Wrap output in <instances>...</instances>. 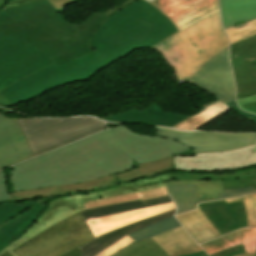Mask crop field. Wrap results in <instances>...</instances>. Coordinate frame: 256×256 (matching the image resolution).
<instances>
[{
    "instance_id": "obj_1",
    "label": "crop field",
    "mask_w": 256,
    "mask_h": 256,
    "mask_svg": "<svg viewBox=\"0 0 256 256\" xmlns=\"http://www.w3.org/2000/svg\"><path fill=\"white\" fill-rule=\"evenodd\" d=\"M187 149L119 125L12 166L10 183L15 191L79 183L129 169L133 158L143 163Z\"/></svg>"
},
{
    "instance_id": "obj_2",
    "label": "crop field",
    "mask_w": 256,
    "mask_h": 256,
    "mask_svg": "<svg viewBox=\"0 0 256 256\" xmlns=\"http://www.w3.org/2000/svg\"><path fill=\"white\" fill-rule=\"evenodd\" d=\"M107 18L95 12L76 25L40 0L2 10L0 32L37 47L60 65L93 51L85 43Z\"/></svg>"
},
{
    "instance_id": "obj_3",
    "label": "crop field",
    "mask_w": 256,
    "mask_h": 256,
    "mask_svg": "<svg viewBox=\"0 0 256 256\" xmlns=\"http://www.w3.org/2000/svg\"><path fill=\"white\" fill-rule=\"evenodd\" d=\"M176 32L167 17L138 0L101 24L89 42L102 55L121 57L136 48H149Z\"/></svg>"
},
{
    "instance_id": "obj_4",
    "label": "crop field",
    "mask_w": 256,
    "mask_h": 256,
    "mask_svg": "<svg viewBox=\"0 0 256 256\" xmlns=\"http://www.w3.org/2000/svg\"><path fill=\"white\" fill-rule=\"evenodd\" d=\"M228 46L219 10L151 47L163 55L177 80L187 81L216 53ZM179 83V81H178Z\"/></svg>"
},
{
    "instance_id": "obj_5",
    "label": "crop field",
    "mask_w": 256,
    "mask_h": 256,
    "mask_svg": "<svg viewBox=\"0 0 256 256\" xmlns=\"http://www.w3.org/2000/svg\"><path fill=\"white\" fill-rule=\"evenodd\" d=\"M166 173L148 177L134 182L120 183L110 189L64 196L48 202L49 207L23 234L32 238L49 226L79 212L83 209L97 208L132 200H148L169 195L165 183ZM59 211V213H58Z\"/></svg>"
},
{
    "instance_id": "obj_6",
    "label": "crop field",
    "mask_w": 256,
    "mask_h": 256,
    "mask_svg": "<svg viewBox=\"0 0 256 256\" xmlns=\"http://www.w3.org/2000/svg\"><path fill=\"white\" fill-rule=\"evenodd\" d=\"M116 59L94 51L60 66L54 63L0 91V94L12 105L25 102L56 86L88 79Z\"/></svg>"
},
{
    "instance_id": "obj_7",
    "label": "crop field",
    "mask_w": 256,
    "mask_h": 256,
    "mask_svg": "<svg viewBox=\"0 0 256 256\" xmlns=\"http://www.w3.org/2000/svg\"><path fill=\"white\" fill-rule=\"evenodd\" d=\"M17 120L34 157L106 129L101 121L91 117Z\"/></svg>"
},
{
    "instance_id": "obj_8",
    "label": "crop field",
    "mask_w": 256,
    "mask_h": 256,
    "mask_svg": "<svg viewBox=\"0 0 256 256\" xmlns=\"http://www.w3.org/2000/svg\"><path fill=\"white\" fill-rule=\"evenodd\" d=\"M93 239L79 212L49 227L13 251L19 256H62Z\"/></svg>"
},
{
    "instance_id": "obj_9",
    "label": "crop field",
    "mask_w": 256,
    "mask_h": 256,
    "mask_svg": "<svg viewBox=\"0 0 256 256\" xmlns=\"http://www.w3.org/2000/svg\"><path fill=\"white\" fill-rule=\"evenodd\" d=\"M173 170L174 158L170 156L165 159L140 164L139 168L136 169H129L118 174L83 182L80 184L44 187L39 189L9 193V199L21 201L40 196H64L76 193L93 192L110 188L120 182L133 181L139 178L155 176L157 174Z\"/></svg>"
},
{
    "instance_id": "obj_10",
    "label": "crop field",
    "mask_w": 256,
    "mask_h": 256,
    "mask_svg": "<svg viewBox=\"0 0 256 256\" xmlns=\"http://www.w3.org/2000/svg\"><path fill=\"white\" fill-rule=\"evenodd\" d=\"M53 62L37 48L0 33V90Z\"/></svg>"
},
{
    "instance_id": "obj_11",
    "label": "crop field",
    "mask_w": 256,
    "mask_h": 256,
    "mask_svg": "<svg viewBox=\"0 0 256 256\" xmlns=\"http://www.w3.org/2000/svg\"><path fill=\"white\" fill-rule=\"evenodd\" d=\"M156 135L182 142L195 153L230 151L254 144L256 141V134L253 133L180 132L157 128Z\"/></svg>"
},
{
    "instance_id": "obj_12",
    "label": "crop field",
    "mask_w": 256,
    "mask_h": 256,
    "mask_svg": "<svg viewBox=\"0 0 256 256\" xmlns=\"http://www.w3.org/2000/svg\"><path fill=\"white\" fill-rule=\"evenodd\" d=\"M187 82L206 91L222 103L234 100L235 84L228 61V48L213 56Z\"/></svg>"
},
{
    "instance_id": "obj_13",
    "label": "crop field",
    "mask_w": 256,
    "mask_h": 256,
    "mask_svg": "<svg viewBox=\"0 0 256 256\" xmlns=\"http://www.w3.org/2000/svg\"><path fill=\"white\" fill-rule=\"evenodd\" d=\"M254 145L224 153H204L195 156H175V170H230L256 165V153L252 154Z\"/></svg>"
},
{
    "instance_id": "obj_14",
    "label": "crop field",
    "mask_w": 256,
    "mask_h": 256,
    "mask_svg": "<svg viewBox=\"0 0 256 256\" xmlns=\"http://www.w3.org/2000/svg\"><path fill=\"white\" fill-rule=\"evenodd\" d=\"M48 200L0 205V251L32 225L47 208L42 204Z\"/></svg>"
},
{
    "instance_id": "obj_15",
    "label": "crop field",
    "mask_w": 256,
    "mask_h": 256,
    "mask_svg": "<svg viewBox=\"0 0 256 256\" xmlns=\"http://www.w3.org/2000/svg\"><path fill=\"white\" fill-rule=\"evenodd\" d=\"M179 30L219 9L218 0H146Z\"/></svg>"
},
{
    "instance_id": "obj_16",
    "label": "crop field",
    "mask_w": 256,
    "mask_h": 256,
    "mask_svg": "<svg viewBox=\"0 0 256 256\" xmlns=\"http://www.w3.org/2000/svg\"><path fill=\"white\" fill-rule=\"evenodd\" d=\"M256 36L231 45L230 60L237 84V98L256 94Z\"/></svg>"
},
{
    "instance_id": "obj_17",
    "label": "crop field",
    "mask_w": 256,
    "mask_h": 256,
    "mask_svg": "<svg viewBox=\"0 0 256 256\" xmlns=\"http://www.w3.org/2000/svg\"><path fill=\"white\" fill-rule=\"evenodd\" d=\"M33 158L16 119L0 114V169Z\"/></svg>"
},
{
    "instance_id": "obj_18",
    "label": "crop field",
    "mask_w": 256,
    "mask_h": 256,
    "mask_svg": "<svg viewBox=\"0 0 256 256\" xmlns=\"http://www.w3.org/2000/svg\"><path fill=\"white\" fill-rule=\"evenodd\" d=\"M221 236L246 227L243 202L226 204L224 200L198 204Z\"/></svg>"
},
{
    "instance_id": "obj_19",
    "label": "crop field",
    "mask_w": 256,
    "mask_h": 256,
    "mask_svg": "<svg viewBox=\"0 0 256 256\" xmlns=\"http://www.w3.org/2000/svg\"><path fill=\"white\" fill-rule=\"evenodd\" d=\"M173 203H167L160 206L138 209L126 213L108 216L100 219L87 221V225L94 234L95 238L110 232L119 227L135 223L145 218L157 215L159 213L175 209Z\"/></svg>"
},
{
    "instance_id": "obj_20",
    "label": "crop field",
    "mask_w": 256,
    "mask_h": 256,
    "mask_svg": "<svg viewBox=\"0 0 256 256\" xmlns=\"http://www.w3.org/2000/svg\"><path fill=\"white\" fill-rule=\"evenodd\" d=\"M161 109L155 103L142 111L135 107L125 113L103 117L100 119L111 122H131L154 126L172 127L189 117L186 115L163 112L164 110L162 109V111Z\"/></svg>"
},
{
    "instance_id": "obj_21",
    "label": "crop field",
    "mask_w": 256,
    "mask_h": 256,
    "mask_svg": "<svg viewBox=\"0 0 256 256\" xmlns=\"http://www.w3.org/2000/svg\"><path fill=\"white\" fill-rule=\"evenodd\" d=\"M167 187L178 208L176 214L194 210L197 208V203L200 202L240 197L242 195L256 192V190H253L252 187L227 190L224 191V194H219V199L199 201L196 185H173Z\"/></svg>"
},
{
    "instance_id": "obj_22",
    "label": "crop field",
    "mask_w": 256,
    "mask_h": 256,
    "mask_svg": "<svg viewBox=\"0 0 256 256\" xmlns=\"http://www.w3.org/2000/svg\"><path fill=\"white\" fill-rule=\"evenodd\" d=\"M175 210H171V211L159 214L157 216L145 219V220L137 222L135 224L128 225V226L119 228L115 231H112L110 233H107V234L79 247L80 250L82 251V256H94L97 253L104 250L105 248L112 245L113 243L117 242L121 238L125 237L127 234H130L137 229L143 228L147 225H150L152 223H155L157 221H160L162 219H165L167 217L174 215Z\"/></svg>"
},
{
    "instance_id": "obj_23",
    "label": "crop field",
    "mask_w": 256,
    "mask_h": 256,
    "mask_svg": "<svg viewBox=\"0 0 256 256\" xmlns=\"http://www.w3.org/2000/svg\"><path fill=\"white\" fill-rule=\"evenodd\" d=\"M229 109L249 119L256 125V116L241 111L237 107L234 100L224 104H221L219 101H217L212 105L200 110L199 112L194 114L192 117L187 118L186 120H184L183 122L179 123L178 125L172 128L181 129V130H197L198 127L202 126L203 124L214 119L215 117L219 116L220 114L224 113Z\"/></svg>"
},
{
    "instance_id": "obj_24",
    "label": "crop field",
    "mask_w": 256,
    "mask_h": 256,
    "mask_svg": "<svg viewBox=\"0 0 256 256\" xmlns=\"http://www.w3.org/2000/svg\"><path fill=\"white\" fill-rule=\"evenodd\" d=\"M153 240L163 248L169 256H179L202 251L182 226L155 237Z\"/></svg>"
},
{
    "instance_id": "obj_25",
    "label": "crop field",
    "mask_w": 256,
    "mask_h": 256,
    "mask_svg": "<svg viewBox=\"0 0 256 256\" xmlns=\"http://www.w3.org/2000/svg\"><path fill=\"white\" fill-rule=\"evenodd\" d=\"M224 29L256 18V0H219Z\"/></svg>"
},
{
    "instance_id": "obj_26",
    "label": "crop field",
    "mask_w": 256,
    "mask_h": 256,
    "mask_svg": "<svg viewBox=\"0 0 256 256\" xmlns=\"http://www.w3.org/2000/svg\"><path fill=\"white\" fill-rule=\"evenodd\" d=\"M175 217L185 226L199 244L220 237L219 233L199 208L195 211L177 215Z\"/></svg>"
},
{
    "instance_id": "obj_27",
    "label": "crop field",
    "mask_w": 256,
    "mask_h": 256,
    "mask_svg": "<svg viewBox=\"0 0 256 256\" xmlns=\"http://www.w3.org/2000/svg\"><path fill=\"white\" fill-rule=\"evenodd\" d=\"M167 202H172L170 199V196L143 201V202H140L139 200H137V201L127 202V203H122V204H117V205H112V206H107V207H102L97 209L84 210V211H81V213L85 221H87L95 218H100L108 215H113V214H117L125 211L138 209V208L160 205Z\"/></svg>"
},
{
    "instance_id": "obj_28",
    "label": "crop field",
    "mask_w": 256,
    "mask_h": 256,
    "mask_svg": "<svg viewBox=\"0 0 256 256\" xmlns=\"http://www.w3.org/2000/svg\"><path fill=\"white\" fill-rule=\"evenodd\" d=\"M111 256H168L150 237L131 243Z\"/></svg>"
},
{
    "instance_id": "obj_29",
    "label": "crop field",
    "mask_w": 256,
    "mask_h": 256,
    "mask_svg": "<svg viewBox=\"0 0 256 256\" xmlns=\"http://www.w3.org/2000/svg\"><path fill=\"white\" fill-rule=\"evenodd\" d=\"M169 180H228L236 178L255 177L256 169L246 170L237 173L222 174H190V173H173L167 174Z\"/></svg>"
},
{
    "instance_id": "obj_30",
    "label": "crop field",
    "mask_w": 256,
    "mask_h": 256,
    "mask_svg": "<svg viewBox=\"0 0 256 256\" xmlns=\"http://www.w3.org/2000/svg\"><path fill=\"white\" fill-rule=\"evenodd\" d=\"M180 226L178 221L174 218V216L167 218L165 220H162L160 222H157L155 224H152L148 227H145L143 229L137 230L134 233L128 235L131 239L138 242L148 236L155 237L157 235H160L162 233L167 232L168 230H171L175 227Z\"/></svg>"
},
{
    "instance_id": "obj_31",
    "label": "crop field",
    "mask_w": 256,
    "mask_h": 256,
    "mask_svg": "<svg viewBox=\"0 0 256 256\" xmlns=\"http://www.w3.org/2000/svg\"><path fill=\"white\" fill-rule=\"evenodd\" d=\"M172 184H197L200 200L218 198V193H223L222 181H168L166 182V185H172Z\"/></svg>"
},
{
    "instance_id": "obj_32",
    "label": "crop field",
    "mask_w": 256,
    "mask_h": 256,
    "mask_svg": "<svg viewBox=\"0 0 256 256\" xmlns=\"http://www.w3.org/2000/svg\"><path fill=\"white\" fill-rule=\"evenodd\" d=\"M224 31L228 35L231 44L253 37L256 35V19L232 26Z\"/></svg>"
},
{
    "instance_id": "obj_33",
    "label": "crop field",
    "mask_w": 256,
    "mask_h": 256,
    "mask_svg": "<svg viewBox=\"0 0 256 256\" xmlns=\"http://www.w3.org/2000/svg\"><path fill=\"white\" fill-rule=\"evenodd\" d=\"M32 1H36V0H9L8 4L5 7L17 6V5L29 3ZM48 1L52 4V6L57 11H59V10L64 9L74 3H77L79 0H48ZM134 1H136V0H126L103 13L110 17L114 12L118 11L119 9L123 8L124 6L130 4ZM5 7H4V9H5Z\"/></svg>"
},
{
    "instance_id": "obj_34",
    "label": "crop field",
    "mask_w": 256,
    "mask_h": 256,
    "mask_svg": "<svg viewBox=\"0 0 256 256\" xmlns=\"http://www.w3.org/2000/svg\"><path fill=\"white\" fill-rule=\"evenodd\" d=\"M241 244L239 230L201 245L208 254ZM242 245V244H241Z\"/></svg>"
},
{
    "instance_id": "obj_35",
    "label": "crop field",
    "mask_w": 256,
    "mask_h": 256,
    "mask_svg": "<svg viewBox=\"0 0 256 256\" xmlns=\"http://www.w3.org/2000/svg\"><path fill=\"white\" fill-rule=\"evenodd\" d=\"M243 200L246 207L247 227L256 226V194L241 198L226 200L227 203Z\"/></svg>"
},
{
    "instance_id": "obj_36",
    "label": "crop field",
    "mask_w": 256,
    "mask_h": 256,
    "mask_svg": "<svg viewBox=\"0 0 256 256\" xmlns=\"http://www.w3.org/2000/svg\"><path fill=\"white\" fill-rule=\"evenodd\" d=\"M242 244L245 252L255 254L256 250V228L240 229Z\"/></svg>"
},
{
    "instance_id": "obj_37",
    "label": "crop field",
    "mask_w": 256,
    "mask_h": 256,
    "mask_svg": "<svg viewBox=\"0 0 256 256\" xmlns=\"http://www.w3.org/2000/svg\"><path fill=\"white\" fill-rule=\"evenodd\" d=\"M237 104L245 111L256 113V95L238 99Z\"/></svg>"
},
{
    "instance_id": "obj_38",
    "label": "crop field",
    "mask_w": 256,
    "mask_h": 256,
    "mask_svg": "<svg viewBox=\"0 0 256 256\" xmlns=\"http://www.w3.org/2000/svg\"><path fill=\"white\" fill-rule=\"evenodd\" d=\"M131 242H133V241L126 236L125 238H123L122 240L118 241L117 243H115L114 245L110 246L109 248H107L106 250L102 251L101 253H99L96 256H109V255L113 254L114 252L118 251L119 249L125 247L126 245H128Z\"/></svg>"
},
{
    "instance_id": "obj_39",
    "label": "crop field",
    "mask_w": 256,
    "mask_h": 256,
    "mask_svg": "<svg viewBox=\"0 0 256 256\" xmlns=\"http://www.w3.org/2000/svg\"><path fill=\"white\" fill-rule=\"evenodd\" d=\"M248 186H251L249 178L223 181V189L224 190L248 187Z\"/></svg>"
},
{
    "instance_id": "obj_40",
    "label": "crop field",
    "mask_w": 256,
    "mask_h": 256,
    "mask_svg": "<svg viewBox=\"0 0 256 256\" xmlns=\"http://www.w3.org/2000/svg\"><path fill=\"white\" fill-rule=\"evenodd\" d=\"M29 239H27L25 236L19 237L17 240H15L12 244H10L8 247H6L4 250L0 252V256H18L11 250L22 245L23 243L27 242Z\"/></svg>"
},
{
    "instance_id": "obj_41",
    "label": "crop field",
    "mask_w": 256,
    "mask_h": 256,
    "mask_svg": "<svg viewBox=\"0 0 256 256\" xmlns=\"http://www.w3.org/2000/svg\"><path fill=\"white\" fill-rule=\"evenodd\" d=\"M8 199V190L6 187V178L3 171H0V202H4Z\"/></svg>"
},
{
    "instance_id": "obj_42",
    "label": "crop field",
    "mask_w": 256,
    "mask_h": 256,
    "mask_svg": "<svg viewBox=\"0 0 256 256\" xmlns=\"http://www.w3.org/2000/svg\"><path fill=\"white\" fill-rule=\"evenodd\" d=\"M243 252H244V250L239 245V246L229 248V249L217 252V253L210 254V256H234L236 254L243 253Z\"/></svg>"
},
{
    "instance_id": "obj_43",
    "label": "crop field",
    "mask_w": 256,
    "mask_h": 256,
    "mask_svg": "<svg viewBox=\"0 0 256 256\" xmlns=\"http://www.w3.org/2000/svg\"><path fill=\"white\" fill-rule=\"evenodd\" d=\"M64 256H81V252H80V250L78 248V249H76V250H74V251H72V252H70V253H68V254H66Z\"/></svg>"
},
{
    "instance_id": "obj_44",
    "label": "crop field",
    "mask_w": 256,
    "mask_h": 256,
    "mask_svg": "<svg viewBox=\"0 0 256 256\" xmlns=\"http://www.w3.org/2000/svg\"><path fill=\"white\" fill-rule=\"evenodd\" d=\"M182 256H208V255L204 251H202L199 253L187 254V255H182Z\"/></svg>"
},
{
    "instance_id": "obj_45",
    "label": "crop field",
    "mask_w": 256,
    "mask_h": 256,
    "mask_svg": "<svg viewBox=\"0 0 256 256\" xmlns=\"http://www.w3.org/2000/svg\"><path fill=\"white\" fill-rule=\"evenodd\" d=\"M253 189H256V177L250 178Z\"/></svg>"
},
{
    "instance_id": "obj_46",
    "label": "crop field",
    "mask_w": 256,
    "mask_h": 256,
    "mask_svg": "<svg viewBox=\"0 0 256 256\" xmlns=\"http://www.w3.org/2000/svg\"><path fill=\"white\" fill-rule=\"evenodd\" d=\"M237 256H251V255L244 253V254H240V255H237Z\"/></svg>"
},
{
    "instance_id": "obj_47",
    "label": "crop field",
    "mask_w": 256,
    "mask_h": 256,
    "mask_svg": "<svg viewBox=\"0 0 256 256\" xmlns=\"http://www.w3.org/2000/svg\"><path fill=\"white\" fill-rule=\"evenodd\" d=\"M249 61L253 62L254 64H256V60L255 59H250Z\"/></svg>"
},
{
    "instance_id": "obj_48",
    "label": "crop field",
    "mask_w": 256,
    "mask_h": 256,
    "mask_svg": "<svg viewBox=\"0 0 256 256\" xmlns=\"http://www.w3.org/2000/svg\"><path fill=\"white\" fill-rule=\"evenodd\" d=\"M254 152H256V145H255L254 150H253V152H252V153H254Z\"/></svg>"
},
{
    "instance_id": "obj_49",
    "label": "crop field",
    "mask_w": 256,
    "mask_h": 256,
    "mask_svg": "<svg viewBox=\"0 0 256 256\" xmlns=\"http://www.w3.org/2000/svg\"><path fill=\"white\" fill-rule=\"evenodd\" d=\"M255 256H256V254H255Z\"/></svg>"
}]
</instances>
